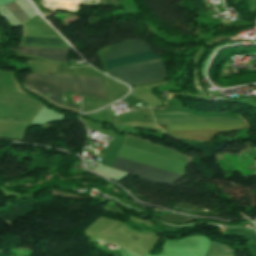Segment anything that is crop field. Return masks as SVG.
Segmentation results:
<instances>
[{
	"mask_svg": "<svg viewBox=\"0 0 256 256\" xmlns=\"http://www.w3.org/2000/svg\"><path fill=\"white\" fill-rule=\"evenodd\" d=\"M150 51L151 49L148 47V45L140 40L124 41L112 45L104 61ZM155 59H160V57L155 53L150 52L126 58L106 61L104 63L107 69H110ZM108 71L110 75L115 76L131 85L164 79V65L162 59L110 69Z\"/></svg>",
	"mask_w": 256,
	"mask_h": 256,
	"instance_id": "obj_1",
	"label": "crop field"
},
{
	"mask_svg": "<svg viewBox=\"0 0 256 256\" xmlns=\"http://www.w3.org/2000/svg\"><path fill=\"white\" fill-rule=\"evenodd\" d=\"M24 82L48 88L84 94L92 98L107 101V90L104 78L67 77L29 73ZM30 84H26L30 89L38 93H41L60 104L67 105L78 110L80 109V107L73 106L69 103L60 100L61 91L52 90Z\"/></svg>",
	"mask_w": 256,
	"mask_h": 256,
	"instance_id": "obj_2",
	"label": "crop field"
},
{
	"mask_svg": "<svg viewBox=\"0 0 256 256\" xmlns=\"http://www.w3.org/2000/svg\"><path fill=\"white\" fill-rule=\"evenodd\" d=\"M157 126L163 128L168 133L178 136L182 139H195L200 141L210 140L219 133L230 132L246 128L244 122L172 124Z\"/></svg>",
	"mask_w": 256,
	"mask_h": 256,
	"instance_id": "obj_3",
	"label": "crop field"
},
{
	"mask_svg": "<svg viewBox=\"0 0 256 256\" xmlns=\"http://www.w3.org/2000/svg\"><path fill=\"white\" fill-rule=\"evenodd\" d=\"M113 168L132 173L145 180L162 183V184H173L176 181H178L180 178H182V176H178L172 173H168L162 170H158L152 167H148V166L138 164V163L128 161L118 157L113 165Z\"/></svg>",
	"mask_w": 256,
	"mask_h": 256,
	"instance_id": "obj_4",
	"label": "crop field"
},
{
	"mask_svg": "<svg viewBox=\"0 0 256 256\" xmlns=\"http://www.w3.org/2000/svg\"><path fill=\"white\" fill-rule=\"evenodd\" d=\"M18 51L69 54V49L20 47ZM26 52H20V53L49 58V59L58 60V61H66L68 57V55H61V54H43V53H26Z\"/></svg>",
	"mask_w": 256,
	"mask_h": 256,
	"instance_id": "obj_5",
	"label": "crop field"
},
{
	"mask_svg": "<svg viewBox=\"0 0 256 256\" xmlns=\"http://www.w3.org/2000/svg\"><path fill=\"white\" fill-rule=\"evenodd\" d=\"M205 256H235L233 249L227 245L211 242Z\"/></svg>",
	"mask_w": 256,
	"mask_h": 256,
	"instance_id": "obj_6",
	"label": "crop field"
},
{
	"mask_svg": "<svg viewBox=\"0 0 256 256\" xmlns=\"http://www.w3.org/2000/svg\"><path fill=\"white\" fill-rule=\"evenodd\" d=\"M24 44L64 45L59 38L25 37Z\"/></svg>",
	"mask_w": 256,
	"mask_h": 256,
	"instance_id": "obj_7",
	"label": "crop field"
},
{
	"mask_svg": "<svg viewBox=\"0 0 256 256\" xmlns=\"http://www.w3.org/2000/svg\"><path fill=\"white\" fill-rule=\"evenodd\" d=\"M11 12L12 14L20 21L23 22L27 18H29L25 12L18 6V4L14 1L12 3L6 4L5 5Z\"/></svg>",
	"mask_w": 256,
	"mask_h": 256,
	"instance_id": "obj_8",
	"label": "crop field"
},
{
	"mask_svg": "<svg viewBox=\"0 0 256 256\" xmlns=\"http://www.w3.org/2000/svg\"><path fill=\"white\" fill-rule=\"evenodd\" d=\"M239 233L242 236H244V237H246V238H248V239H250V240H252V241H254L256 243V234L253 231H251V230L228 229L227 232H226V234H236V235H239Z\"/></svg>",
	"mask_w": 256,
	"mask_h": 256,
	"instance_id": "obj_9",
	"label": "crop field"
},
{
	"mask_svg": "<svg viewBox=\"0 0 256 256\" xmlns=\"http://www.w3.org/2000/svg\"><path fill=\"white\" fill-rule=\"evenodd\" d=\"M33 2L43 16L52 15L55 11L51 7L39 2V0H33Z\"/></svg>",
	"mask_w": 256,
	"mask_h": 256,
	"instance_id": "obj_10",
	"label": "crop field"
},
{
	"mask_svg": "<svg viewBox=\"0 0 256 256\" xmlns=\"http://www.w3.org/2000/svg\"><path fill=\"white\" fill-rule=\"evenodd\" d=\"M249 249L251 250V252H252L253 254L256 255V245H254V244L252 243V244L250 245Z\"/></svg>",
	"mask_w": 256,
	"mask_h": 256,
	"instance_id": "obj_11",
	"label": "crop field"
}]
</instances>
